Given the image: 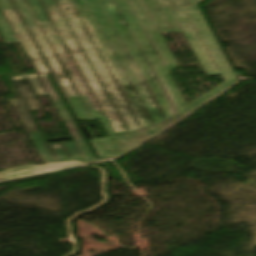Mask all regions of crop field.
Masks as SVG:
<instances>
[{
	"label": "crop field",
	"mask_w": 256,
	"mask_h": 256,
	"mask_svg": "<svg viewBox=\"0 0 256 256\" xmlns=\"http://www.w3.org/2000/svg\"><path fill=\"white\" fill-rule=\"evenodd\" d=\"M74 113H75L77 119H82L81 116L78 114L77 111H74ZM113 158H114V157H113ZM109 159H111V158H109ZM99 160H101V159H99ZM99 160H96V161H99ZM104 160H105V159H104ZM67 162H70V161H67ZM43 163H44V162H43ZM53 163H59V162H53ZM44 164H49V163H44Z\"/></svg>",
	"instance_id": "1"
}]
</instances>
